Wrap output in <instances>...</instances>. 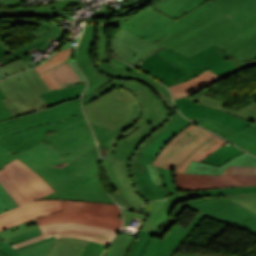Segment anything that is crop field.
<instances>
[{
  "label": "crop field",
  "mask_w": 256,
  "mask_h": 256,
  "mask_svg": "<svg viewBox=\"0 0 256 256\" xmlns=\"http://www.w3.org/2000/svg\"><path fill=\"white\" fill-rule=\"evenodd\" d=\"M86 82L42 93L48 109L13 118L0 90V169L15 160L14 153L32 148L64 125L84 116L80 95ZM54 123V125H53Z\"/></svg>",
  "instance_id": "crop-field-1"
},
{
  "label": "crop field",
  "mask_w": 256,
  "mask_h": 256,
  "mask_svg": "<svg viewBox=\"0 0 256 256\" xmlns=\"http://www.w3.org/2000/svg\"><path fill=\"white\" fill-rule=\"evenodd\" d=\"M254 35L256 15L238 25L209 1L146 40L190 57L213 44L229 52Z\"/></svg>",
  "instance_id": "crop-field-2"
},
{
  "label": "crop field",
  "mask_w": 256,
  "mask_h": 256,
  "mask_svg": "<svg viewBox=\"0 0 256 256\" xmlns=\"http://www.w3.org/2000/svg\"><path fill=\"white\" fill-rule=\"evenodd\" d=\"M89 85L82 95V104L117 88L132 90L141 105L133 106L132 117L114 131L92 126L99 143L115 147L121 139L131 141L132 138L142 141L160 127L168 116L169 111L158 97L145 85L136 81H121L101 73L95 64L81 67Z\"/></svg>",
  "instance_id": "crop-field-3"
},
{
  "label": "crop field",
  "mask_w": 256,
  "mask_h": 256,
  "mask_svg": "<svg viewBox=\"0 0 256 256\" xmlns=\"http://www.w3.org/2000/svg\"><path fill=\"white\" fill-rule=\"evenodd\" d=\"M4 167L0 184L20 207L0 215V230L61 210L59 200L34 201L54 190L33 170L18 159Z\"/></svg>",
  "instance_id": "crop-field-4"
},
{
  "label": "crop field",
  "mask_w": 256,
  "mask_h": 256,
  "mask_svg": "<svg viewBox=\"0 0 256 256\" xmlns=\"http://www.w3.org/2000/svg\"><path fill=\"white\" fill-rule=\"evenodd\" d=\"M97 146L67 164L66 162L37 172L56 191L44 199H70L116 204L101 188L97 163Z\"/></svg>",
  "instance_id": "crop-field-5"
},
{
  "label": "crop field",
  "mask_w": 256,
  "mask_h": 256,
  "mask_svg": "<svg viewBox=\"0 0 256 256\" xmlns=\"http://www.w3.org/2000/svg\"><path fill=\"white\" fill-rule=\"evenodd\" d=\"M190 123L177 110L167 124L143 140L133 155L130 162L132 181L139 196L145 202L153 199H165L168 196L165 189L152 182L145 162L152 164L156 154Z\"/></svg>",
  "instance_id": "crop-field-6"
},
{
  "label": "crop field",
  "mask_w": 256,
  "mask_h": 256,
  "mask_svg": "<svg viewBox=\"0 0 256 256\" xmlns=\"http://www.w3.org/2000/svg\"><path fill=\"white\" fill-rule=\"evenodd\" d=\"M227 141L192 123L156 156L153 165L184 173L192 160L200 161ZM183 145V147H181Z\"/></svg>",
  "instance_id": "crop-field-7"
},
{
  "label": "crop field",
  "mask_w": 256,
  "mask_h": 256,
  "mask_svg": "<svg viewBox=\"0 0 256 256\" xmlns=\"http://www.w3.org/2000/svg\"><path fill=\"white\" fill-rule=\"evenodd\" d=\"M141 143L134 139L131 142L122 140L115 148L98 143L100 157H106L101 160L110 184L118 190V193L111 196L119 205L130 210H135L145 203L132 185L129 170L131 157Z\"/></svg>",
  "instance_id": "crop-field-8"
},
{
  "label": "crop field",
  "mask_w": 256,
  "mask_h": 256,
  "mask_svg": "<svg viewBox=\"0 0 256 256\" xmlns=\"http://www.w3.org/2000/svg\"><path fill=\"white\" fill-rule=\"evenodd\" d=\"M168 200L176 207L173 216H180L186 207L256 234V215L224 196L206 197L181 193Z\"/></svg>",
  "instance_id": "crop-field-9"
},
{
  "label": "crop field",
  "mask_w": 256,
  "mask_h": 256,
  "mask_svg": "<svg viewBox=\"0 0 256 256\" xmlns=\"http://www.w3.org/2000/svg\"><path fill=\"white\" fill-rule=\"evenodd\" d=\"M207 1L209 0H164L154 8L149 7L142 12L104 25L123 27L145 39Z\"/></svg>",
  "instance_id": "crop-field-10"
},
{
  "label": "crop field",
  "mask_w": 256,
  "mask_h": 256,
  "mask_svg": "<svg viewBox=\"0 0 256 256\" xmlns=\"http://www.w3.org/2000/svg\"><path fill=\"white\" fill-rule=\"evenodd\" d=\"M62 211L36 219L39 225L56 222H77L120 230L119 208L116 205L60 200Z\"/></svg>",
  "instance_id": "crop-field-11"
},
{
  "label": "crop field",
  "mask_w": 256,
  "mask_h": 256,
  "mask_svg": "<svg viewBox=\"0 0 256 256\" xmlns=\"http://www.w3.org/2000/svg\"><path fill=\"white\" fill-rule=\"evenodd\" d=\"M0 89L13 117L34 113L44 103L39 93L50 90L33 69L0 81Z\"/></svg>",
  "instance_id": "crop-field-12"
},
{
  "label": "crop field",
  "mask_w": 256,
  "mask_h": 256,
  "mask_svg": "<svg viewBox=\"0 0 256 256\" xmlns=\"http://www.w3.org/2000/svg\"><path fill=\"white\" fill-rule=\"evenodd\" d=\"M139 104L133 92L113 90L83 106L90 124L115 129L132 115V105Z\"/></svg>",
  "instance_id": "crop-field-13"
},
{
  "label": "crop field",
  "mask_w": 256,
  "mask_h": 256,
  "mask_svg": "<svg viewBox=\"0 0 256 256\" xmlns=\"http://www.w3.org/2000/svg\"><path fill=\"white\" fill-rule=\"evenodd\" d=\"M156 53L188 74L203 65L221 78L239 71L235 60L224 61V58L230 56V54L215 45L190 58L167 48Z\"/></svg>",
  "instance_id": "crop-field-14"
},
{
  "label": "crop field",
  "mask_w": 256,
  "mask_h": 256,
  "mask_svg": "<svg viewBox=\"0 0 256 256\" xmlns=\"http://www.w3.org/2000/svg\"><path fill=\"white\" fill-rule=\"evenodd\" d=\"M238 24L256 14V0H210ZM241 69L256 66V36L230 52Z\"/></svg>",
  "instance_id": "crop-field-15"
},
{
  "label": "crop field",
  "mask_w": 256,
  "mask_h": 256,
  "mask_svg": "<svg viewBox=\"0 0 256 256\" xmlns=\"http://www.w3.org/2000/svg\"><path fill=\"white\" fill-rule=\"evenodd\" d=\"M98 26V33H99V41L93 49V57L96 66L99 70L109 76L124 78V79H137L145 84L152 86L153 88L159 90L160 92L170 95L167 88L159 84L157 81L147 77L145 74L135 70L131 66L122 63L121 61L117 60L116 58L107 61L109 57L108 54L105 52L106 47V33L102 25ZM171 97V96H170Z\"/></svg>",
  "instance_id": "crop-field-16"
},
{
  "label": "crop field",
  "mask_w": 256,
  "mask_h": 256,
  "mask_svg": "<svg viewBox=\"0 0 256 256\" xmlns=\"http://www.w3.org/2000/svg\"><path fill=\"white\" fill-rule=\"evenodd\" d=\"M40 228L43 235L16 244L13 248L16 249L54 235H56V237L70 236L84 238L107 245L118 233V231L112 229L98 228L76 223L47 224L40 226Z\"/></svg>",
  "instance_id": "crop-field-17"
},
{
  "label": "crop field",
  "mask_w": 256,
  "mask_h": 256,
  "mask_svg": "<svg viewBox=\"0 0 256 256\" xmlns=\"http://www.w3.org/2000/svg\"><path fill=\"white\" fill-rule=\"evenodd\" d=\"M163 46L146 41L122 28L116 37L111 39L112 53L119 59L135 64L148 57Z\"/></svg>",
  "instance_id": "crop-field-18"
},
{
  "label": "crop field",
  "mask_w": 256,
  "mask_h": 256,
  "mask_svg": "<svg viewBox=\"0 0 256 256\" xmlns=\"http://www.w3.org/2000/svg\"><path fill=\"white\" fill-rule=\"evenodd\" d=\"M56 131L47 139L43 140L50 144L61 157L82 147L94 139L92 131L85 117Z\"/></svg>",
  "instance_id": "crop-field-19"
},
{
  "label": "crop field",
  "mask_w": 256,
  "mask_h": 256,
  "mask_svg": "<svg viewBox=\"0 0 256 256\" xmlns=\"http://www.w3.org/2000/svg\"><path fill=\"white\" fill-rule=\"evenodd\" d=\"M178 191L208 189L223 186L256 185V176L192 175L174 173Z\"/></svg>",
  "instance_id": "crop-field-20"
},
{
  "label": "crop field",
  "mask_w": 256,
  "mask_h": 256,
  "mask_svg": "<svg viewBox=\"0 0 256 256\" xmlns=\"http://www.w3.org/2000/svg\"><path fill=\"white\" fill-rule=\"evenodd\" d=\"M134 67L146 72L147 74L152 76L157 81L163 83L167 87L183 82L208 70L203 66L200 69L188 75L184 71L169 64L156 53L148 57L144 61L140 62V64L134 65Z\"/></svg>",
  "instance_id": "crop-field-21"
},
{
  "label": "crop field",
  "mask_w": 256,
  "mask_h": 256,
  "mask_svg": "<svg viewBox=\"0 0 256 256\" xmlns=\"http://www.w3.org/2000/svg\"><path fill=\"white\" fill-rule=\"evenodd\" d=\"M174 102L179 111L188 119L208 117L237 131L253 123L225 111L202 106L189 98L174 100Z\"/></svg>",
  "instance_id": "crop-field-22"
},
{
  "label": "crop field",
  "mask_w": 256,
  "mask_h": 256,
  "mask_svg": "<svg viewBox=\"0 0 256 256\" xmlns=\"http://www.w3.org/2000/svg\"><path fill=\"white\" fill-rule=\"evenodd\" d=\"M192 121L226 138L231 143L247 150L256 156V124L239 132L207 118L193 119Z\"/></svg>",
  "instance_id": "crop-field-23"
},
{
  "label": "crop field",
  "mask_w": 256,
  "mask_h": 256,
  "mask_svg": "<svg viewBox=\"0 0 256 256\" xmlns=\"http://www.w3.org/2000/svg\"><path fill=\"white\" fill-rule=\"evenodd\" d=\"M204 217L198 213L186 228L175 225L164 241L153 238L146 256H171L181 241Z\"/></svg>",
  "instance_id": "crop-field-24"
},
{
  "label": "crop field",
  "mask_w": 256,
  "mask_h": 256,
  "mask_svg": "<svg viewBox=\"0 0 256 256\" xmlns=\"http://www.w3.org/2000/svg\"><path fill=\"white\" fill-rule=\"evenodd\" d=\"M14 156L21 159L22 162L35 172L64 162L58 153L43 141L35 145L32 149L14 154Z\"/></svg>",
  "instance_id": "crop-field-25"
},
{
  "label": "crop field",
  "mask_w": 256,
  "mask_h": 256,
  "mask_svg": "<svg viewBox=\"0 0 256 256\" xmlns=\"http://www.w3.org/2000/svg\"><path fill=\"white\" fill-rule=\"evenodd\" d=\"M68 31V29H61L60 25L54 26L49 31H47L45 34L41 35L39 38L33 40L32 42L22 46L20 49L15 51L14 53H11L10 55L4 57L0 60V67L8 64L12 61H15L19 58L23 59L26 63H28L31 67L35 66L28 62L27 60L32 57L31 52L36 51L37 49L44 50L46 47H48L51 43L50 40H60L62 41L65 33Z\"/></svg>",
  "instance_id": "crop-field-26"
},
{
  "label": "crop field",
  "mask_w": 256,
  "mask_h": 256,
  "mask_svg": "<svg viewBox=\"0 0 256 256\" xmlns=\"http://www.w3.org/2000/svg\"><path fill=\"white\" fill-rule=\"evenodd\" d=\"M229 165L256 167V158L245 152L235 157L231 161L225 163L220 168H218L217 166L192 161L187 170L185 171V173L221 175V173Z\"/></svg>",
  "instance_id": "crop-field-27"
},
{
  "label": "crop field",
  "mask_w": 256,
  "mask_h": 256,
  "mask_svg": "<svg viewBox=\"0 0 256 256\" xmlns=\"http://www.w3.org/2000/svg\"><path fill=\"white\" fill-rule=\"evenodd\" d=\"M172 206L167 201L149 202L150 215L148 216L142 230L157 233L169 220Z\"/></svg>",
  "instance_id": "crop-field-28"
},
{
  "label": "crop field",
  "mask_w": 256,
  "mask_h": 256,
  "mask_svg": "<svg viewBox=\"0 0 256 256\" xmlns=\"http://www.w3.org/2000/svg\"><path fill=\"white\" fill-rule=\"evenodd\" d=\"M88 242V240L78 238H56L46 256H80Z\"/></svg>",
  "instance_id": "crop-field-29"
},
{
  "label": "crop field",
  "mask_w": 256,
  "mask_h": 256,
  "mask_svg": "<svg viewBox=\"0 0 256 256\" xmlns=\"http://www.w3.org/2000/svg\"><path fill=\"white\" fill-rule=\"evenodd\" d=\"M96 29V24L85 25V31L76 51V64L78 67L94 63L92 58V48L98 41Z\"/></svg>",
  "instance_id": "crop-field-30"
},
{
  "label": "crop field",
  "mask_w": 256,
  "mask_h": 256,
  "mask_svg": "<svg viewBox=\"0 0 256 256\" xmlns=\"http://www.w3.org/2000/svg\"><path fill=\"white\" fill-rule=\"evenodd\" d=\"M219 79H221L219 76L208 70L193 79L171 86L169 89L172 93L173 99H176L187 96Z\"/></svg>",
  "instance_id": "crop-field-31"
},
{
  "label": "crop field",
  "mask_w": 256,
  "mask_h": 256,
  "mask_svg": "<svg viewBox=\"0 0 256 256\" xmlns=\"http://www.w3.org/2000/svg\"><path fill=\"white\" fill-rule=\"evenodd\" d=\"M48 71L60 88L83 82L67 60Z\"/></svg>",
  "instance_id": "crop-field-32"
},
{
  "label": "crop field",
  "mask_w": 256,
  "mask_h": 256,
  "mask_svg": "<svg viewBox=\"0 0 256 256\" xmlns=\"http://www.w3.org/2000/svg\"><path fill=\"white\" fill-rule=\"evenodd\" d=\"M70 3H80V0H60L54 4L31 8L25 10V17L38 16L39 18H54L55 15H66L69 12H65L64 8L66 4Z\"/></svg>",
  "instance_id": "crop-field-33"
},
{
  "label": "crop field",
  "mask_w": 256,
  "mask_h": 256,
  "mask_svg": "<svg viewBox=\"0 0 256 256\" xmlns=\"http://www.w3.org/2000/svg\"><path fill=\"white\" fill-rule=\"evenodd\" d=\"M191 99L199 102L202 105L219 108V109L225 110L227 112L234 113V114H236L240 117H243L247 120L256 122V102L251 103L250 105H248L247 107H245L243 109H240L238 111H234V110H231V109L221 107V106H223L227 103H224V102L219 101V100H214V99L208 98L204 95L197 98V99H194V98H191Z\"/></svg>",
  "instance_id": "crop-field-34"
},
{
  "label": "crop field",
  "mask_w": 256,
  "mask_h": 256,
  "mask_svg": "<svg viewBox=\"0 0 256 256\" xmlns=\"http://www.w3.org/2000/svg\"><path fill=\"white\" fill-rule=\"evenodd\" d=\"M136 236L120 232L108 246L104 256H125L128 248L135 241Z\"/></svg>",
  "instance_id": "crop-field-35"
},
{
  "label": "crop field",
  "mask_w": 256,
  "mask_h": 256,
  "mask_svg": "<svg viewBox=\"0 0 256 256\" xmlns=\"http://www.w3.org/2000/svg\"><path fill=\"white\" fill-rule=\"evenodd\" d=\"M228 144L229 145L226 147L225 146L220 147L218 150L213 152L211 155L206 157L201 162L220 166V165L224 164L225 162L231 160L238 154L244 152L241 149L231 145L229 142H228Z\"/></svg>",
  "instance_id": "crop-field-36"
},
{
  "label": "crop field",
  "mask_w": 256,
  "mask_h": 256,
  "mask_svg": "<svg viewBox=\"0 0 256 256\" xmlns=\"http://www.w3.org/2000/svg\"><path fill=\"white\" fill-rule=\"evenodd\" d=\"M41 231H35V232H31V233H27V234H24V235H21V236H18V237H15V238H12V239H9L7 241H4L2 243H0V252L4 255V256H20L16 251L18 250H21V249H24L26 247H29V246H32V245H35V244H38V243H41V242H44V241H47V240H50V239H53L54 237H51V238H47V239H44V240H41L39 242H36V243H33V244H30V245H27L25 247H22V248H19V249H16L14 250L11 246V244H16V243H19V242H23L27 239H30L32 237H35V236H38V235H41Z\"/></svg>",
  "instance_id": "crop-field-37"
},
{
  "label": "crop field",
  "mask_w": 256,
  "mask_h": 256,
  "mask_svg": "<svg viewBox=\"0 0 256 256\" xmlns=\"http://www.w3.org/2000/svg\"><path fill=\"white\" fill-rule=\"evenodd\" d=\"M38 224L35 220L20 224L15 227L8 228L6 230L0 231V235L5 239H9L30 231L38 230Z\"/></svg>",
  "instance_id": "crop-field-38"
},
{
  "label": "crop field",
  "mask_w": 256,
  "mask_h": 256,
  "mask_svg": "<svg viewBox=\"0 0 256 256\" xmlns=\"http://www.w3.org/2000/svg\"><path fill=\"white\" fill-rule=\"evenodd\" d=\"M153 234L140 231L139 239L132 245L127 256H145Z\"/></svg>",
  "instance_id": "crop-field-39"
},
{
  "label": "crop field",
  "mask_w": 256,
  "mask_h": 256,
  "mask_svg": "<svg viewBox=\"0 0 256 256\" xmlns=\"http://www.w3.org/2000/svg\"><path fill=\"white\" fill-rule=\"evenodd\" d=\"M256 214V193L225 196Z\"/></svg>",
  "instance_id": "crop-field-40"
},
{
  "label": "crop field",
  "mask_w": 256,
  "mask_h": 256,
  "mask_svg": "<svg viewBox=\"0 0 256 256\" xmlns=\"http://www.w3.org/2000/svg\"><path fill=\"white\" fill-rule=\"evenodd\" d=\"M71 51V48L62 52H58L56 55L51 57L49 60H47L45 63L39 65L38 67L34 68L38 73H41L43 71H46L55 65H57L59 62L67 59L69 53Z\"/></svg>",
  "instance_id": "crop-field-41"
},
{
  "label": "crop field",
  "mask_w": 256,
  "mask_h": 256,
  "mask_svg": "<svg viewBox=\"0 0 256 256\" xmlns=\"http://www.w3.org/2000/svg\"><path fill=\"white\" fill-rule=\"evenodd\" d=\"M53 240L18 251L21 256H44Z\"/></svg>",
  "instance_id": "crop-field-42"
},
{
  "label": "crop field",
  "mask_w": 256,
  "mask_h": 256,
  "mask_svg": "<svg viewBox=\"0 0 256 256\" xmlns=\"http://www.w3.org/2000/svg\"><path fill=\"white\" fill-rule=\"evenodd\" d=\"M28 68H31V67L27 65L23 60L19 59L15 62H12L8 65L1 67L0 72L7 77L9 75H13L16 72H20Z\"/></svg>",
  "instance_id": "crop-field-43"
},
{
  "label": "crop field",
  "mask_w": 256,
  "mask_h": 256,
  "mask_svg": "<svg viewBox=\"0 0 256 256\" xmlns=\"http://www.w3.org/2000/svg\"><path fill=\"white\" fill-rule=\"evenodd\" d=\"M19 206L0 185V213Z\"/></svg>",
  "instance_id": "crop-field-44"
},
{
  "label": "crop field",
  "mask_w": 256,
  "mask_h": 256,
  "mask_svg": "<svg viewBox=\"0 0 256 256\" xmlns=\"http://www.w3.org/2000/svg\"><path fill=\"white\" fill-rule=\"evenodd\" d=\"M223 174L229 175H256V168L229 166Z\"/></svg>",
  "instance_id": "crop-field-45"
},
{
  "label": "crop field",
  "mask_w": 256,
  "mask_h": 256,
  "mask_svg": "<svg viewBox=\"0 0 256 256\" xmlns=\"http://www.w3.org/2000/svg\"><path fill=\"white\" fill-rule=\"evenodd\" d=\"M104 248L105 245L90 241L81 256H100Z\"/></svg>",
  "instance_id": "crop-field-46"
},
{
  "label": "crop field",
  "mask_w": 256,
  "mask_h": 256,
  "mask_svg": "<svg viewBox=\"0 0 256 256\" xmlns=\"http://www.w3.org/2000/svg\"><path fill=\"white\" fill-rule=\"evenodd\" d=\"M160 171L162 173L164 183H165L169 193L177 192L176 187H175V183H174L173 173L170 172V171H167L165 169H162V168H160Z\"/></svg>",
  "instance_id": "crop-field-47"
},
{
  "label": "crop field",
  "mask_w": 256,
  "mask_h": 256,
  "mask_svg": "<svg viewBox=\"0 0 256 256\" xmlns=\"http://www.w3.org/2000/svg\"><path fill=\"white\" fill-rule=\"evenodd\" d=\"M94 146H96V143H95V140H92L91 142H89L85 146H83L82 148H80V149L72 152L68 156L64 157L63 160H65L68 163V162L74 160L75 158L79 157L83 153L87 152L88 150H90Z\"/></svg>",
  "instance_id": "crop-field-48"
},
{
  "label": "crop field",
  "mask_w": 256,
  "mask_h": 256,
  "mask_svg": "<svg viewBox=\"0 0 256 256\" xmlns=\"http://www.w3.org/2000/svg\"><path fill=\"white\" fill-rule=\"evenodd\" d=\"M78 39H79V38H78ZM78 39H76V40H74V41H69V42L65 43V44L61 47V49H59V51H62V50H65V49H67V48L72 47V51H71V53H70V55H69V57H68L67 60H68L69 63L72 65V67L76 70V72L79 74V76L82 78V80H83V81H86L84 75L78 70V68H77L76 65L74 64V50H75L76 46H70L71 42H76V43H77V42H78Z\"/></svg>",
  "instance_id": "crop-field-49"
},
{
  "label": "crop field",
  "mask_w": 256,
  "mask_h": 256,
  "mask_svg": "<svg viewBox=\"0 0 256 256\" xmlns=\"http://www.w3.org/2000/svg\"><path fill=\"white\" fill-rule=\"evenodd\" d=\"M6 22H12V23H28V24H41L36 31L30 33L33 35L35 38L40 36L42 33L46 32L48 29H50L54 25H46V22H35V21H6Z\"/></svg>",
  "instance_id": "crop-field-50"
},
{
  "label": "crop field",
  "mask_w": 256,
  "mask_h": 256,
  "mask_svg": "<svg viewBox=\"0 0 256 256\" xmlns=\"http://www.w3.org/2000/svg\"><path fill=\"white\" fill-rule=\"evenodd\" d=\"M147 167L149 169V172H150L153 182H155V183L159 184L161 187L165 188L159 168L157 166H153V165H149V164H147Z\"/></svg>",
  "instance_id": "crop-field-51"
},
{
  "label": "crop field",
  "mask_w": 256,
  "mask_h": 256,
  "mask_svg": "<svg viewBox=\"0 0 256 256\" xmlns=\"http://www.w3.org/2000/svg\"><path fill=\"white\" fill-rule=\"evenodd\" d=\"M0 17H24V10H21V9L0 10Z\"/></svg>",
  "instance_id": "crop-field-52"
},
{
  "label": "crop field",
  "mask_w": 256,
  "mask_h": 256,
  "mask_svg": "<svg viewBox=\"0 0 256 256\" xmlns=\"http://www.w3.org/2000/svg\"><path fill=\"white\" fill-rule=\"evenodd\" d=\"M146 209H147V207L144 206V210H145V211H146ZM123 212H124V217H125V226H126V225L128 226V224H129L130 221L132 220V217H133V216L136 217V218H139V219H142L143 216H146V214L143 215V214H140V213L129 212V211L126 210V209H123ZM125 226H124V227H125Z\"/></svg>",
  "instance_id": "crop-field-53"
},
{
  "label": "crop field",
  "mask_w": 256,
  "mask_h": 256,
  "mask_svg": "<svg viewBox=\"0 0 256 256\" xmlns=\"http://www.w3.org/2000/svg\"><path fill=\"white\" fill-rule=\"evenodd\" d=\"M148 1H149V0H142V1L138 2L137 4H135V5H133V6L127 7L126 9H124V10L118 12V13H117V14H118L117 17L122 16V15H124V14H127V13H129V12H131V11H134V10L140 8L141 6H143V5H144L145 3H147Z\"/></svg>",
  "instance_id": "crop-field-54"
},
{
  "label": "crop field",
  "mask_w": 256,
  "mask_h": 256,
  "mask_svg": "<svg viewBox=\"0 0 256 256\" xmlns=\"http://www.w3.org/2000/svg\"><path fill=\"white\" fill-rule=\"evenodd\" d=\"M40 76L47 83V85L50 87L51 90H53L55 88L59 89V87L56 85V83L54 82V80L52 79V77L50 76L48 71L43 73V74H41Z\"/></svg>",
  "instance_id": "crop-field-55"
},
{
  "label": "crop field",
  "mask_w": 256,
  "mask_h": 256,
  "mask_svg": "<svg viewBox=\"0 0 256 256\" xmlns=\"http://www.w3.org/2000/svg\"><path fill=\"white\" fill-rule=\"evenodd\" d=\"M109 7H110V5H106V6L99 12V14L97 15L96 18H99V17H101L102 15H104V17H115V16H117V14H115V13H113V12H111V11L108 10Z\"/></svg>",
  "instance_id": "crop-field-56"
},
{
  "label": "crop field",
  "mask_w": 256,
  "mask_h": 256,
  "mask_svg": "<svg viewBox=\"0 0 256 256\" xmlns=\"http://www.w3.org/2000/svg\"><path fill=\"white\" fill-rule=\"evenodd\" d=\"M152 87V86H151ZM157 91V90H156ZM159 91V90H158ZM157 91V93L160 95V97L165 101V103H166V105H167V107H173V106H175V104L173 103V101H172V99L171 98H169L168 96H166V95H164V94H162V93H160V92H158Z\"/></svg>",
  "instance_id": "crop-field-57"
},
{
  "label": "crop field",
  "mask_w": 256,
  "mask_h": 256,
  "mask_svg": "<svg viewBox=\"0 0 256 256\" xmlns=\"http://www.w3.org/2000/svg\"><path fill=\"white\" fill-rule=\"evenodd\" d=\"M23 2H27V0H0V4H14Z\"/></svg>",
  "instance_id": "crop-field-58"
},
{
  "label": "crop field",
  "mask_w": 256,
  "mask_h": 256,
  "mask_svg": "<svg viewBox=\"0 0 256 256\" xmlns=\"http://www.w3.org/2000/svg\"><path fill=\"white\" fill-rule=\"evenodd\" d=\"M7 54H9V52L0 45V58L4 57Z\"/></svg>",
  "instance_id": "crop-field-59"
},
{
  "label": "crop field",
  "mask_w": 256,
  "mask_h": 256,
  "mask_svg": "<svg viewBox=\"0 0 256 256\" xmlns=\"http://www.w3.org/2000/svg\"><path fill=\"white\" fill-rule=\"evenodd\" d=\"M199 254H179L174 256H198Z\"/></svg>",
  "instance_id": "crop-field-60"
},
{
  "label": "crop field",
  "mask_w": 256,
  "mask_h": 256,
  "mask_svg": "<svg viewBox=\"0 0 256 256\" xmlns=\"http://www.w3.org/2000/svg\"><path fill=\"white\" fill-rule=\"evenodd\" d=\"M0 44L3 45L10 53L13 52L11 49H9L7 46H5L1 41Z\"/></svg>",
  "instance_id": "crop-field-61"
},
{
  "label": "crop field",
  "mask_w": 256,
  "mask_h": 256,
  "mask_svg": "<svg viewBox=\"0 0 256 256\" xmlns=\"http://www.w3.org/2000/svg\"><path fill=\"white\" fill-rule=\"evenodd\" d=\"M160 1H162V0H155V1L152 3V5L155 6V5L158 4Z\"/></svg>",
  "instance_id": "crop-field-62"
},
{
  "label": "crop field",
  "mask_w": 256,
  "mask_h": 256,
  "mask_svg": "<svg viewBox=\"0 0 256 256\" xmlns=\"http://www.w3.org/2000/svg\"><path fill=\"white\" fill-rule=\"evenodd\" d=\"M4 241V239L0 236V242Z\"/></svg>",
  "instance_id": "crop-field-63"
},
{
  "label": "crop field",
  "mask_w": 256,
  "mask_h": 256,
  "mask_svg": "<svg viewBox=\"0 0 256 256\" xmlns=\"http://www.w3.org/2000/svg\"><path fill=\"white\" fill-rule=\"evenodd\" d=\"M61 23V22H60ZM60 23H57V24H60ZM47 24H51V23H47ZM55 25V24H54Z\"/></svg>",
  "instance_id": "crop-field-64"
},
{
  "label": "crop field",
  "mask_w": 256,
  "mask_h": 256,
  "mask_svg": "<svg viewBox=\"0 0 256 256\" xmlns=\"http://www.w3.org/2000/svg\"><path fill=\"white\" fill-rule=\"evenodd\" d=\"M3 76L0 74V78H2Z\"/></svg>",
  "instance_id": "crop-field-65"
},
{
  "label": "crop field",
  "mask_w": 256,
  "mask_h": 256,
  "mask_svg": "<svg viewBox=\"0 0 256 256\" xmlns=\"http://www.w3.org/2000/svg\"><path fill=\"white\" fill-rule=\"evenodd\" d=\"M0 256H3V255L0 253Z\"/></svg>",
  "instance_id": "crop-field-66"
},
{
  "label": "crop field",
  "mask_w": 256,
  "mask_h": 256,
  "mask_svg": "<svg viewBox=\"0 0 256 256\" xmlns=\"http://www.w3.org/2000/svg\"><path fill=\"white\" fill-rule=\"evenodd\" d=\"M199 256H201V255H199Z\"/></svg>",
  "instance_id": "crop-field-67"
}]
</instances>
